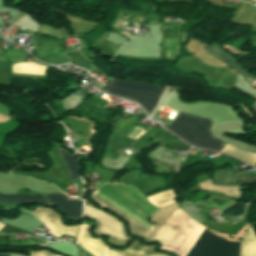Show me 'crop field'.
Instances as JSON below:
<instances>
[{
	"label": "crop field",
	"instance_id": "crop-field-1",
	"mask_svg": "<svg viewBox=\"0 0 256 256\" xmlns=\"http://www.w3.org/2000/svg\"><path fill=\"white\" fill-rule=\"evenodd\" d=\"M204 229L178 209L164 225L155 224L147 241H159L162 246L178 249L186 256ZM239 245L240 242H235L234 256H238ZM233 246L234 242L223 240L205 229L187 256H233Z\"/></svg>",
	"mask_w": 256,
	"mask_h": 256
},
{
	"label": "crop field",
	"instance_id": "crop-field-2",
	"mask_svg": "<svg viewBox=\"0 0 256 256\" xmlns=\"http://www.w3.org/2000/svg\"><path fill=\"white\" fill-rule=\"evenodd\" d=\"M97 191L104 194L108 198L112 199L113 201H115L119 205L123 206L127 210L131 211L132 213H134L138 217L142 218L146 222H148L147 220L158 210V208H156L152 204H150L136 190V188L132 187V186L107 183V184H104ZM97 191L94 195L101 198L102 200L109 203L116 209L120 210L121 212L128 215L129 217L133 218L134 220L138 221L139 223L146 226L147 228L152 229L153 226H151V225H154V224H152L150 222H148V223H150L151 225L146 223L142 219L138 218L131 212L127 211L126 209L119 206L118 204H116L115 202L108 199L107 197H105L104 195L100 194ZM94 195L91 197H93L94 199H96L97 201H99L100 203H102L103 205H105L106 207H108L109 209H111L112 211H114L115 213H117L118 215H120L121 217H123L129 221V229H130L131 233L146 239V237L148 236V234L150 233L151 230H149L146 227L142 226L141 224L137 223L133 219L124 215L123 213L116 210L115 208L108 205L107 203H105L104 201H102L101 199L97 198Z\"/></svg>",
	"mask_w": 256,
	"mask_h": 256
},
{
	"label": "crop field",
	"instance_id": "crop-field-3",
	"mask_svg": "<svg viewBox=\"0 0 256 256\" xmlns=\"http://www.w3.org/2000/svg\"><path fill=\"white\" fill-rule=\"evenodd\" d=\"M211 124L212 121L180 112L166 128L197 147L220 151L226 143L210 133Z\"/></svg>",
	"mask_w": 256,
	"mask_h": 256
},
{
	"label": "crop field",
	"instance_id": "crop-field-4",
	"mask_svg": "<svg viewBox=\"0 0 256 256\" xmlns=\"http://www.w3.org/2000/svg\"><path fill=\"white\" fill-rule=\"evenodd\" d=\"M102 90L141 103L151 113L164 89L148 83L127 82L113 79ZM139 103V104H140Z\"/></svg>",
	"mask_w": 256,
	"mask_h": 256
},
{
	"label": "crop field",
	"instance_id": "crop-field-5",
	"mask_svg": "<svg viewBox=\"0 0 256 256\" xmlns=\"http://www.w3.org/2000/svg\"><path fill=\"white\" fill-rule=\"evenodd\" d=\"M2 204H26V203H45L56 206L61 210L66 218L79 219L82 213V203L67 200L65 196L59 194L38 195H7L0 194Z\"/></svg>",
	"mask_w": 256,
	"mask_h": 256
},
{
	"label": "crop field",
	"instance_id": "crop-field-6",
	"mask_svg": "<svg viewBox=\"0 0 256 256\" xmlns=\"http://www.w3.org/2000/svg\"><path fill=\"white\" fill-rule=\"evenodd\" d=\"M84 215L95 219L98 223V227L93 232L97 235L107 234L111 236L110 242L125 245L130 239L124 233L123 224L116 218L87 206L84 208Z\"/></svg>",
	"mask_w": 256,
	"mask_h": 256
},
{
	"label": "crop field",
	"instance_id": "crop-field-7",
	"mask_svg": "<svg viewBox=\"0 0 256 256\" xmlns=\"http://www.w3.org/2000/svg\"><path fill=\"white\" fill-rule=\"evenodd\" d=\"M32 213L58 237L63 234L75 236L79 228V225L65 227L61 222L60 216L53 209H46L39 206Z\"/></svg>",
	"mask_w": 256,
	"mask_h": 256
},
{
	"label": "crop field",
	"instance_id": "crop-field-8",
	"mask_svg": "<svg viewBox=\"0 0 256 256\" xmlns=\"http://www.w3.org/2000/svg\"><path fill=\"white\" fill-rule=\"evenodd\" d=\"M88 229L89 227L82 225L78 238L81 245L95 256H107V249H109V247L100 239H93L91 234L88 232Z\"/></svg>",
	"mask_w": 256,
	"mask_h": 256
},
{
	"label": "crop field",
	"instance_id": "crop-field-9",
	"mask_svg": "<svg viewBox=\"0 0 256 256\" xmlns=\"http://www.w3.org/2000/svg\"><path fill=\"white\" fill-rule=\"evenodd\" d=\"M155 246H142L138 241L126 251L108 250V256H164L153 252Z\"/></svg>",
	"mask_w": 256,
	"mask_h": 256
},
{
	"label": "crop field",
	"instance_id": "crop-field-10",
	"mask_svg": "<svg viewBox=\"0 0 256 256\" xmlns=\"http://www.w3.org/2000/svg\"><path fill=\"white\" fill-rule=\"evenodd\" d=\"M240 256H256V234L252 226L241 241Z\"/></svg>",
	"mask_w": 256,
	"mask_h": 256
},
{
	"label": "crop field",
	"instance_id": "crop-field-11",
	"mask_svg": "<svg viewBox=\"0 0 256 256\" xmlns=\"http://www.w3.org/2000/svg\"><path fill=\"white\" fill-rule=\"evenodd\" d=\"M57 151L62 158L72 181L79 180L78 166L76 162V158L73 155H70L69 151L63 150L62 148H57Z\"/></svg>",
	"mask_w": 256,
	"mask_h": 256
},
{
	"label": "crop field",
	"instance_id": "crop-field-12",
	"mask_svg": "<svg viewBox=\"0 0 256 256\" xmlns=\"http://www.w3.org/2000/svg\"><path fill=\"white\" fill-rule=\"evenodd\" d=\"M46 69L47 66L36 63H17L12 66V72L33 75H45Z\"/></svg>",
	"mask_w": 256,
	"mask_h": 256
},
{
	"label": "crop field",
	"instance_id": "crop-field-13",
	"mask_svg": "<svg viewBox=\"0 0 256 256\" xmlns=\"http://www.w3.org/2000/svg\"><path fill=\"white\" fill-rule=\"evenodd\" d=\"M221 152L232 155L238 159H241L251 165H255L256 163V154L253 153H246L238 148H235L229 144H227Z\"/></svg>",
	"mask_w": 256,
	"mask_h": 256
},
{
	"label": "crop field",
	"instance_id": "crop-field-14",
	"mask_svg": "<svg viewBox=\"0 0 256 256\" xmlns=\"http://www.w3.org/2000/svg\"><path fill=\"white\" fill-rule=\"evenodd\" d=\"M147 199L158 208L170 205L175 202L174 192L172 190L155 194L153 196L147 197Z\"/></svg>",
	"mask_w": 256,
	"mask_h": 256
},
{
	"label": "crop field",
	"instance_id": "crop-field-15",
	"mask_svg": "<svg viewBox=\"0 0 256 256\" xmlns=\"http://www.w3.org/2000/svg\"><path fill=\"white\" fill-rule=\"evenodd\" d=\"M202 48L204 50H206L209 54H211L214 57H216L217 59H219V60L225 62L226 64H228L232 69L236 70L243 77H245V78L247 77L248 74H246L239 66H237L235 64V62H233L224 53H222L221 51H219L215 47H213V46H203Z\"/></svg>",
	"mask_w": 256,
	"mask_h": 256
},
{
	"label": "crop field",
	"instance_id": "crop-field-16",
	"mask_svg": "<svg viewBox=\"0 0 256 256\" xmlns=\"http://www.w3.org/2000/svg\"><path fill=\"white\" fill-rule=\"evenodd\" d=\"M237 171L234 169L224 170L215 172L213 177L216 181V184L220 185H231Z\"/></svg>",
	"mask_w": 256,
	"mask_h": 256
},
{
	"label": "crop field",
	"instance_id": "crop-field-17",
	"mask_svg": "<svg viewBox=\"0 0 256 256\" xmlns=\"http://www.w3.org/2000/svg\"><path fill=\"white\" fill-rule=\"evenodd\" d=\"M177 208L178 207L176 204L162 208L156 213V215L151 220L156 223L162 224L166 221V219L170 215L171 211L175 210Z\"/></svg>",
	"mask_w": 256,
	"mask_h": 256
},
{
	"label": "crop field",
	"instance_id": "crop-field-18",
	"mask_svg": "<svg viewBox=\"0 0 256 256\" xmlns=\"http://www.w3.org/2000/svg\"><path fill=\"white\" fill-rule=\"evenodd\" d=\"M139 119L140 118L136 114H133V115L123 119L114 125L115 131L118 132L122 129H126V128L130 127L131 125L137 123V120H139Z\"/></svg>",
	"mask_w": 256,
	"mask_h": 256
},
{
	"label": "crop field",
	"instance_id": "crop-field-19",
	"mask_svg": "<svg viewBox=\"0 0 256 256\" xmlns=\"http://www.w3.org/2000/svg\"><path fill=\"white\" fill-rule=\"evenodd\" d=\"M5 56L8 58L10 64L14 62H21L25 59V54L18 50H8Z\"/></svg>",
	"mask_w": 256,
	"mask_h": 256
},
{
	"label": "crop field",
	"instance_id": "crop-field-20",
	"mask_svg": "<svg viewBox=\"0 0 256 256\" xmlns=\"http://www.w3.org/2000/svg\"><path fill=\"white\" fill-rule=\"evenodd\" d=\"M244 205L245 204L235 203L232 206H230L229 208L223 210L222 213H225V214H228L231 216L242 214L243 210H244Z\"/></svg>",
	"mask_w": 256,
	"mask_h": 256
},
{
	"label": "crop field",
	"instance_id": "crop-field-21",
	"mask_svg": "<svg viewBox=\"0 0 256 256\" xmlns=\"http://www.w3.org/2000/svg\"><path fill=\"white\" fill-rule=\"evenodd\" d=\"M252 181H256V174L255 173L252 176L250 174L240 172V174L238 175L234 185L240 184V183H243V182H252Z\"/></svg>",
	"mask_w": 256,
	"mask_h": 256
},
{
	"label": "crop field",
	"instance_id": "crop-field-22",
	"mask_svg": "<svg viewBox=\"0 0 256 256\" xmlns=\"http://www.w3.org/2000/svg\"><path fill=\"white\" fill-rule=\"evenodd\" d=\"M157 134H158V130H157V129H155V128H153V129L149 128V129L146 131V133L142 135L141 138L155 139L156 136H157Z\"/></svg>",
	"mask_w": 256,
	"mask_h": 256
},
{
	"label": "crop field",
	"instance_id": "crop-field-23",
	"mask_svg": "<svg viewBox=\"0 0 256 256\" xmlns=\"http://www.w3.org/2000/svg\"><path fill=\"white\" fill-rule=\"evenodd\" d=\"M142 130V128H139V127H137V126H135L132 130H131V132H130V134L128 135V137H131V138H133L137 133H139L140 131ZM144 129L139 133V134H137L134 138L135 139H137L140 135H142L143 133H144Z\"/></svg>",
	"mask_w": 256,
	"mask_h": 256
},
{
	"label": "crop field",
	"instance_id": "crop-field-24",
	"mask_svg": "<svg viewBox=\"0 0 256 256\" xmlns=\"http://www.w3.org/2000/svg\"><path fill=\"white\" fill-rule=\"evenodd\" d=\"M131 21L136 23L137 25H139L140 23H142L144 21H150V19L145 18L141 15H138V16L134 17Z\"/></svg>",
	"mask_w": 256,
	"mask_h": 256
},
{
	"label": "crop field",
	"instance_id": "crop-field-25",
	"mask_svg": "<svg viewBox=\"0 0 256 256\" xmlns=\"http://www.w3.org/2000/svg\"><path fill=\"white\" fill-rule=\"evenodd\" d=\"M31 256H56L52 253L46 252V251H35V252H30Z\"/></svg>",
	"mask_w": 256,
	"mask_h": 256
},
{
	"label": "crop field",
	"instance_id": "crop-field-26",
	"mask_svg": "<svg viewBox=\"0 0 256 256\" xmlns=\"http://www.w3.org/2000/svg\"><path fill=\"white\" fill-rule=\"evenodd\" d=\"M121 21V19H118V18H116V20L114 21V23L111 25V26H113V27H115L116 28V26L119 24V22ZM124 22V20H122L121 21V23L118 25V27H117V29L119 28V26L122 24ZM126 21L123 23V25H125L126 26Z\"/></svg>",
	"mask_w": 256,
	"mask_h": 256
},
{
	"label": "crop field",
	"instance_id": "crop-field-27",
	"mask_svg": "<svg viewBox=\"0 0 256 256\" xmlns=\"http://www.w3.org/2000/svg\"><path fill=\"white\" fill-rule=\"evenodd\" d=\"M117 31L121 32L122 34L126 35L127 37L132 36V34L126 32V31H124V30H122V29H120V28H119Z\"/></svg>",
	"mask_w": 256,
	"mask_h": 256
},
{
	"label": "crop field",
	"instance_id": "crop-field-28",
	"mask_svg": "<svg viewBox=\"0 0 256 256\" xmlns=\"http://www.w3.org/2000/svg\"><path fill=\"white\" fill-rule=\"evenodd\" d=\"M251 108L256 112V106H252Z\"/></svg>",
	"mask_w": 256,
	"mask_h": 256
},
{
	"label": "crop field",
	"instance_id": "crop-field-29",
	"mask_svg": "<svg viewBox=\"0 0 256 256\" xmlns=\"http://www.w3.org/2000/svg\"><path fill=\"white\" fill-rule=\"evenodd\" d=\"M0 61H5L6 62L5 58H1V57H0Z\"/></svg>",
	"mask_w": 256,
	"mask_h": 256
},
{
	"label": "crop field",
	"instance_id": "crop-field-30",
	"mask_svg": "<svg viewBox=\"0 0 256 256\" xmlns=\"http://www.w3.org/2000/svg\"><path fill=\"white\" fill-rule=\"evenodd\" d=\"M0 256H9V255H0Z\"/></svg>",
	"mask_w": 256,
	"mask_h": 256
},
{
	"label": "crop field",
	"instance_id": "crop-field-31",
	"mask_svg": "<svg viewBox=\"0 0 256 256\" xmlns=\"http://www.w3.org/2000/svg\"><path fill=\"white\" fill-rule=\"evenodd\" d=\"M3 225L0 224V229L2 228Z\"/></svg>",
	"mask_w": 256,
	"mask_h": 256
},
{
	"label": "crop field",
	"instance_id": "crop-field-32",
	"mask_svg": "<svg viewBox=\"0 0 256 256\" xmlns=\"http://www.w3.org/2000/svg\"><path fill=\"white\" fill-rule=\"evenodd\" d=\"M253 1H255V0H253ZM256 2V1H255Z\"/></svg>",
	"mask_w": 256,
	"mask_h": 256
},
{
	"label": "crop field",
	"instance_id": "crop-field-33",
	"mask_svg": "<svg viewBox=\"0 0 256 256\" xmlns=\"http://www.w3.org/2000/svg\"><path fill=\"white\" fill-rule=\"evenodd\" d=\"M256 166V165H255Z\"/></svg>",
	"mask_w": 256,
	"mask_h": 256
}]
</instances>
